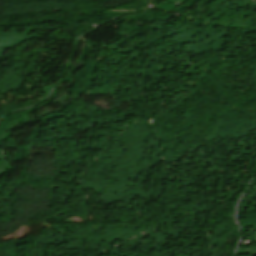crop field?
Wrapping results in <instances>:
<instances>
[{
    "label": "crop field",
    "mask_w": 256,
    "mask_h": 256,
    "mask_svg": "<svg viewBox=\"0 0 256 256\" xmlns=\"http://www.w3.org/2000/svg\"><path fill=\"white\" fill-rule=\"evenodd\" d=\"M184 1H186V0H176V2L174 3V4H176V3H182V2H184Z\"/></svg>",
    "instance_id": "crop-field-1"
}]
</instances>
